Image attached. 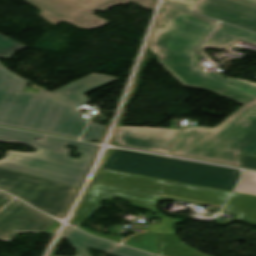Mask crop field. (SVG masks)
<instances>
[{
	"label": "crop field",
	"mask_w": 256,
	"mask_h": 256,
	"mask_svg": "<svg viewBox=\"0 0 256 256\" xmlns=\"http://www.w3.org/2000/svg\"><path fill=\"white\" fill-rule=\"evenodd\" d=\"M165 28L149 47L181 84L210 90L244 105L216 128L187 127L171 155L240 166L239 154L256 157V83L206 74L195 62L217 21L164 5Z\"/></svg>",
	"instance_id": "8a807250"
},
{
	"label": "crop field",
	"mask_w": 256,
	"mask_h": 256,
	"mask_svg": "<svg viewBox=\"0 0 256 256\" xmlns=\"http://www.w3.org/2000/svg\"><path fill=\"white\" fill-rule=\"evenodd\" d=\"M43 139L42 142L35 141ZM0 142L30 145L35 153L8 151L0 160V167L32 175L53 182L79 188L84 179L98 146L0 128ZM79 147L82 154L79 160L69 158L71 150L66 146Z\"/></svg>",
	"instance_id": "ac0d7876"
},
{
	"label": "crop field",
	"mask_w": 256,
	"mask_h": 256,
	"mask_svg": "<svg viewBox=\"0 0 256 256\" xmlns=\"http://www.w3.org/2000/svg\"><path fill=\"white\" fill-rule=\"evenodd\" d=\"M21 78L5 69L0 79V125L79 139L88 120L41 89L23 92Z\"/></svg>",
	"instance_id": "34b2d1b8"
},
{
	"label": "crop field",
	"mask_w": 256,
	"mask_h": 256,
	"mask_svg": "<svg viewBox=\"0 0 256 256\" xmlns=\"http://www.w3.org/2000/svg\"><path fill=\"white\" fill-rule=\"evenodd\" d=\"M114 197L130 202L136 207L154 211L163 219L162 224H149L144 233L125 237L123 244L155 254V233H175L173 230L175 224L184 222L181 219H168L156 210L160 195L93 183L90 191H87L82 199L71 224L77 227L80 226L93 212L101 207L98 203L100 200L103 198L112 200Z\"/></svg>",
	"instance_id": "412701ff"
},
{
	"label": "crop field",
	"mask_w": 256,
	"mask_h": 256,
	"mask_svg": "<svg viewBox=\"0 0 256 256\" xmlns=\"http://www.w3.org/2000/svg\"><path fill=\"white\" fill-rule=\"evenodd\" d=\"M96 183L161 194L159 201L173 199L198 206L222 208L229 192L101 170Z\"/></svg>",
	"instance_id": "f4fd0767"
},
{
	"label": "crop field",
	"mask_w": 256,
	"mask_h": 256,
	"mask_svg": "<svg viewBox=\"0 0 256 256\" xmlns=\"http://www.w3.org/2000/svg\"><path fill=\"white\" fill-rule=\"evenodd\" d=\"M0 189L53 216L63 217L77 188L0 168Z\"/></svg>",
	"instance_id": "dd49c442"
},
{
	"label": "crop field",
	"mask_w": 256,
	"mask_h": 256,
	"mask_svg": "<svg viewBox=\"0 0 256 256\" xmlns=\"http://www.w3.org/2000/svg\"><path fill=\"white\" fill-rule=\"evenodd\" d=\"M41 10L42 18L57 25L60 22L73 24L80 29H97L110 22L92 14L95 10L101 12L117 5L131 2L151 10L155 0H26Z\"/></svg>",
	"instance_id": "e52e79f7"
},
{
	"label": "crop field",
	"mask_w": 256,
	"mask_h": 256,
	"mask_svg": "<svg viewBox=\"0 0 256 256\" xmlns=\"http://www.w3.org/2000/svg\"><path fill=\"white\" fill-rule=\"evenodd\" d=\"M196 162L114 150L104 169L183 182Z\"/></svg>",
	"instance_id": "d8731c3e"
},
{
	"label": "crop field",
	"mask_w": 256,
	"mask_h": 256,
	"mask_svg": "<svg viewBox=\"0 0 256 256\" xmlns=\"http://www.w3.org/2000/svg\"><path fill=\"white\" fill-rule=\"evenodd\" d=\"M54 221L15 199L0 212V240L11 241L22 232L43 233Z\"/></svg>",
	"instance_id": "5a996713"
},
{
	"label": "crop field",
	"mask_w": 256,
	"mask_h": 256,
	"mask_svg": "<svg viewBox=\"0 0 256 256\" xmlns=\"http://www.w3.org/2000/svg\"><path fill=\"white\" fill-rule=\"evenodd\" d=\"M193 11L256 32V0H199Z\"/></svg>",
	"instance_id": "3316defc"
},
{
	"label": "crop field",
	"mask_w": 256,
	"mask_h": 256,
	"mask_svg": "<svg viewBox=\"0 0 256 256\" xmlns=\"http://www.w3.org/2000/svg\"><path fill=\"white\" fill-rule=\"evenodd\" d=\"M179 130L118 127L114 142L120 146L168 154Z\"/></svg>",
	"instance_id": "28ad6ade"
},
{
	"label": "crop field",
	"mask_w": 256,
	"mask_h": 256,
	"mask_svg": "<svg viewBox=\"0 0 256 256\" xmlns=\"http://www.w3.org/2000/svg\"><path fill=\"white\" fill-rule=\"evenodd\" d=\"M239 176L236 169L197 163L184 182L232 191Z\"/></svg>",
	"instance_id": "d1516ede"
},
{
	"label": "crop field",
	"mask_w": 256,
	"mask_h": 256,
	"mask_svg": "<svg viewBox=\"0 0 256 256\" xmlns=\"http://www.w3.org/2000/svg\"><path fill=\"white\" fill-rule=\"evenodd\" d=\"M114 80L116 79L110 76L91 74L79 81H76L70 85H67L61 89L52 92V94L57 96L64 102L74 107H77L79 105L89 102V100L86 99L83 94L107 83H110Z\"/></svg>",
	"instance_id": "22f410ed"
},
{
	"label": "crop field",
	"mask_w": 256,
	"mask_h": 256,
	"mask_svg": "<svg viewBox=\"0 0 256 256\" xmlns=\"http://www.w3.org/2000/svg\"><path fill=\"white\" fill-rule=\"evenodd\" d=\"M241 39L256 44V34L220 22L205 46L211 49H222Z\"/></svg>",
	"instance_id": "cbeb9de0"
},
{
	"label": "crop field",
	"mask_w": 256,
	"mask_h": 256,
	"mask_svg": "<svg viewBox=\"0 0 256 256\" xmlns=\"http://www.w3.org/2000/svg\"><path fill=\"white\" fill-rule=\"evenodd\" d=\"M62 238L67 239L70 244L75 247L77 251V254L75 256H90L87 251L88 247L99 251L108 252L117 245L92 238L70 227L66 229ZM96 243L98 244L97 246L95 245Z\"/></svg>",
	"instance_id": "5142ce71"
},
{
	"label": "crop field",
	"mask_w": 256,
	"mask_h": 256,
	"mask_svg": "<svg viewBox=\"0 0 256 256\" xmlns=\"http://www.w3.org/2000/svg\"><path fill=\"white\" fill-rule=\"evenodd\" d=\"M156 254L163 256H207L183 244L176 234H156Z\"/></svg>",
	"instance_id": "d9b57169"
},
{
	"label": "crop field",
	"mask_w": 256,
	"mask_h": 256,
	"mask_svg": "<svg viewBox=\"0 0 256 256\" xmlns=\"http://www.w3.org/2000/svg\"><path fill=\"white\" fill-rule=\"evenodd\" d=\"M255 202L256 197L234 193L222 211L239 214L237 219L242 220Z\"/></svg>",
	"instance_id": "733c2abd"
},
{
	"label": "crop field",
	"mask_w": 256,
	"mask_h": 256,
	"mask_svg": "<svg viewBox=\"0 0 256 256\" xmlns=\"http://www.w3.org/2000/svg\"><path fill=\"white\" fill-rule=\"evenodd\" d=\"M23 48H27V47L0 34V58L1 59H10L12 58L16 50L23 49Z\"/></svg>",
	"instance_id": "4a817a6b"
},
{
	"label": "crop field",
	"mask_w": 256,
	"mask_h": 256,
	"mask_svg": "<svg viewBox=\"0 0 256 256\" xmlns=\"http://www.w3.org/2000/svg\"><path fill=\"white\" fill-rule=\"evenodd\" d=\"M235 192L256 195V173L244 171Z\"/></svg>",
	"instance_id": "bc2a9ffb"
},
{
	"label": "crop field",
	"mask_w": 256,
	"mask_h": 256,
	"mask_svg": "<svg viewBox=\"0 0 256 256\" xmlns=\"http://www.w3.org/2000/svg\"><path fill=\"white\" fill-rule=\"evenodd\" d=\"M105 128V126L99 125L90 120L88 127L81 140H100Z\"/></svg>",
	"instance_id": "214f88e0"
},
{
	"label": "crop field",
	"mask_w": 256,
	"mask_h": 256,
	"mask_svg": "<svg viewBox=\"0 0 256 256\" xmlns=\"http://www.w3.org/2000/svg\"><path fill=\"white\" fill-rule=\"evenodd\" d=\"M109 254H112L115 256H154L151 254H147L141 251L131 249L123 245L118 246L117 248L112 250Z\"/></svg>",
	"instance_id": "92a150f3"
},
{
	"label": "crop field",
	"mask_w": 256,
	"mask_h": 256,
	"mask_svg": "<svg viewBox=\"0 0 256 256\" xmlns=\"http://www.w3.org/2000/svg\"><path fill=\"white\" fill-rule=\"evenodd\" d=\"M241 166L256 169V158L240 155Z\"/></svg>",
	"instance_id": "dafd665d"
},
{
	"label": "crop field",
	"mask_w": 256,
	"mask_h": 256,
	"mask_svg": "<svg viewBox=\"0 0 256 256\" xmlns=\"http://www.w3.org/2000/svg\"><path fill=\"white\" fill-rule=\"evenodd\" d=\"M242 221L256 226V203L250 209V211L247 213V215L244 217Z\"/></svg>",
	"instance_id": "00972430"
},
{
	"label": "crop field",
	"mask_w": 256,
	"mask_h": 256,
	"mask_svg": "<svg viewBox=\"0 0 256 256\" xmlns=\"http://www.w3.org/2000/svg\"><path fill=\"white\" fill-rule=\"evenodd\" d=\"M168 2H171L173 4L182 6L184 8H187L191 10L196 0H167Z\"/></svg>",
	"instance_id": "a9b5d70f"
},
{
	"label": "crop field",
	"mask_w": 256,
	"mask_h": 256,
	"mask_svg": "<svg viewBox=\"0 0 256 256\" xmlns=\"http://www.w3.org/2000/svg\"><path fill=\"white\" fill-rule=\"evenodd\" d=\"M79 229L85 231V232H88L94 236H98V237H102V238H106V239H110V240H113V241H116V242H120L121 241V238H118V237H112V236H103V235H100L98 233H95V232H92V231H88L82 227H79Z\"/></svg>",
	"instance_id": "4177f3b9"
},
{
	"label": "crop field",
	"mask_w": 256,
	"mask_h": 256,
	"mask_svg": "<svg viewBox=\"0 0 256 256\" xmlns=\"http://www.w3.org/2000/svg\"><path fill=\"white\" fill-rule=\"evenodd\" d=\"M167 21L168 20H165V19H162L159 17L153 33L161 31L163 29V27L166 25Z\"/></svg>",
	"instance_id": "730fd06b"
},
{
	"label": "crop field",
	"mask_w": 256,
	"mask_h": 256,
	"mask_svg": "<svg viewBox=\"0 0 256 256\" xmlns=\"http://www.w3.org/2000/svg\"><path fill=\"white\" fill-rule=\"evenodd\" d=\"M12 198L13 197L0 192V208Z\"/></svg>",
	"instance_id": "eef30255"
},
{
	"label": "crop field",
	"mask_w": 256,
	"mask_h": 256,
	"mask_svg": "<svg viewBox=\"0 0 256 256\" xmlns=\"http://www.w3.org/2000/svg\"><path fill=\"white\" fill-rule=\"evenodd\" d=\"M59 225V223L58 222H54L53 224H52V226L46 231V232H44L45 234H50V235H53V233H54V231H55V229H56V227Z\"/></svg>",
	"instance_id": "ae1a2a85"
},
{
	"label": "crop field",
	"mask_w": 256,
	"mask_h": 256,
	"mask_svg": "<svg viewBox=\"0 0 256 256\" xmlns=\"http://www.w3.org/2000/svg\"><path fill=\"white\" fill-rule=\"evenodd\" d=\"M4 69H5V67H3V66L0 64V77H1V75H2V73H3V71H4Z\"/></svg>",
	"instance_id": "d3111659"
}]
</instances>
